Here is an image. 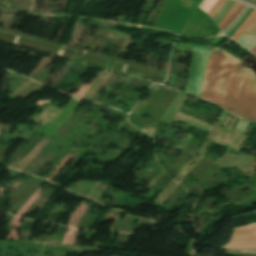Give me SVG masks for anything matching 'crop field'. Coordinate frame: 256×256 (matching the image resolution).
<instances>
[{
	"label": "crop field",
	"mask_w": 256,
	"mask_h": 256,
	"mask_svg": "<svg viewBox=\"0 0 256 256\" xmlns=\"http://www.w3.org/2000/svg\"><path fill=\"white\" fill-rule=\"evenodd\" d=\"M213 95L220 97L219 102L212 100ZM200 97L256 121V84L252 73L217 47L211 53Z\"/></svg>",
	"instance_id": "crop-field-1"
},
{
	"label": "crop field",
	"mask_w": 256,
	"mask_h": 256,
	"mask_svg": "<svg viewBox=\"0 0 256 256\" xmlns=\"http://www.w3.org/2000/svg\"><path fill=\"white\" fill-rule=\"evenodd\" d=\"M224 249L256 248V223L234 229L230 242Z\"/></svg>",
	"instance_id": "crop-field-2"
},
{
	"label": "crop field",
	"mask_w": 256,
	"mask_h": 256,
	"mask_svg": "<svg viewBox=\"0 0 256 256\" xmlns=\"http://www.w3.org/2000/svg\"><path fill=\"white\" fill-rule=\"evenodd\" d=\"M256 22V10L249 15V17L245 20V22L240 26V28L235 32V34L231 37L234 40H238L242 34H247L253 24Z\"/></svg>",
	"instance_id": "crop-field-3"
},
{
	"label": "crop field",
	"mask_w": 256,
	"mask_h": 256,
	"mask_svg": "<svg viewBox=\"0 0 256 256\" xmlns=\"http://www.w3.org/2000/svg\"><path fill=\"white\" fill-rule=\"evenodd\" d=\"M247 49L251 50L256 44V36L242 35L238 40Z\"/></svg>",
	"instance_id": "crop-field-4"
},
{
	"label": "crop field",
	"mask_w": 256,
	"mask_h": 256,
	"mask_svg": "<svg viewBox=\"0 0 256 256\" xmlns=\"http://www.w3.org/2000/svg\"><path fill=\"white\" fill-rule=\"evenodd\" d=\"M226 253L240 256H253L256 255V249L227 250Z\"/></svg>",
	"instance_id": "crop-field-5"
},
{
	"label": "crop field",
	"mask_w": 256,
	"mask_h": 256,
	"mask_svg": "<svg viewBox=\"0 0 256 256\" xmlns=\"http://www.w3.org/2000/svg\"><path fill=\"white\" fill-rule=\"evenodd\" d=\"M246 6L241 5L239 9L232 15V17L225 23V25L221 28L222 31L224 32L226 28L233 22V20L241 13V11L245 8Z\"/></svg>",
	"instance_id": "crop-field-6"
},
{
	"label": "crop field",
	"mask_w": 256,
	"mask_h": 256,
	"mask_svg": "<svg viewBox=\"0 0 256 256\" xmlns=\"http://www.w3.org/2000/svg\"><path fill=\"white\" fill-rule=\"evenodd\" d=\"M217 1L218 0H204L199 7L202 8L203 10H205L208 13L209 10L214 6V4Z\"/></svg>",
	"instance_id": "crop-field-7"
},
{
	"label": "crop field",
	"mask_w": 256,
	"mask_h": 256,
	"mask_svg": "<svg viewBox=\"0 0 256 256\" xmlns=\"http://www.w3.org/2000/svg\"><path fill=\"white\" fill-rule=\"evenodd\" d=\"M240 6V4L236 3L235 6L230 10V12L225 16V18L220 22L218 25L220 28L223 26V24L230 18V16L237 10V8Z\"/></svg>",
	"instance_id": "crop-field-8"
},
{
	"label": "crop field",
	"mask_w": 256,
	"mask_h": 256,
	"mask_svg": "<svg viewBox=\"0 0 256 256\" xmlns=\"http://www.w3.org/2000/svg\"><path fill=\"white\" fill-rule=\"evenodd\" d=\"M224 2V0H219L215 6L210 10V12L208 13L211 17L213 16V14L217 11V9L220 7V5Z\"/></svg>",
	"instance_id": "crop-field-9"
},
{
	"label": "crop field",
	"mask_w": 256,
	"mask_h": 256,
	"mask_svg": "<svg viewBox=\"0 0 256 256\" xmlns=\"http://www.w3.org/2000/svg\"><path fill=\"white\" fill-rule=\"evenodd\" d=\"M248 34L256 35V24H255L254 27L249 31Z\"/></svg>",
	"instance_id": "crop-field-10"
},
{
	"label": "crop field",
	"mask_w": 256,
	"mask_h": 256,
	"mask_svg": "<svg viewBox=\"0 0 256 256\" xmlns=\"http://www.w3.org/2000/svg\"><path fill=\"white\" fill-rule=\"evenodd\" d=\"M252 53H254L256 55V46L252 49L251 51Z\"/></svg>",
	"instance_id": "crop-field-11"
}]
</instances>
